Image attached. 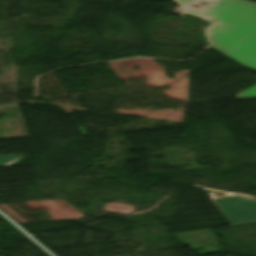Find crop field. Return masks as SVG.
Listing matches in <instances>:
<instances>
[{
    "instance_id": "8a807250",
    "label": "crop field",
    "mask_w": 256,
    "mask_h": 256,
    "mask_svg": "<svg viewBox=\"0 0 256 256\" xmlns=\"http://www.w3.org/2000/svg\"><path fill=\"white\" fill-rule=\"evenodd\" d=\"M181 11L211 23L205 29L210 46L228 58L256 69V3L247 0H216L206 8H193L196 0H174ZM256 96V85L238 97Z\"/></svg>"
},
{
    "instance_id": "ac0d7876",
    "label": "crop field",
    "mask_w": 256,
    "mask_h": 256,
    "mask_svg": "<svg viewBox=\"0 0 256 256\" xmlns=\"http://www.w3.org/2000/svg\"><path fill=\"white\" fill-rule=\"evenodd\" d=\"M231 225L256 222V201L236 195L212 199Z\"/></svg>"
},
{
    "instance_id": "34b2d1b8",
    "label": "crop field",
    "mask_w": 256,
    "mask_h": 256,
    "mask_svg": "<svg viewBox=\"0 0 256 256\" xmlns=\"http://www.w3.org/2000/svg\"><path fill=\"white\" fill-rule=\"evenodd\" d=\"M24 154H17V155H0V166L2 165H6L10 162H12L13 160L19 158L20 156H22Z\"/></svg>"
}]
</instances>
